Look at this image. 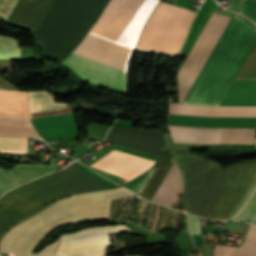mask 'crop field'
Returning a JSON list of instances; mask_svg holds the SVG:
<instances>
[{"mask_svg":"<svg viewBox=\"0 0 256 256\" xmlns=\"http://www.w3.org/2000/svg\"><path fill=\"white\" fill-rule=\"evenodd\" d=\"M157 1L111 0L89 33L132 50ZM89 33L63 63L93 83L125 93L132 51Z\"/></svg>","mask_w":256,"mask_h":256,"instance_id":"crop-field-1","label":"crop field"},{"mask_svg":"<svg viewBox=\"0 0 256 256\" xmlns=\"http://www.w3.org/2000/svg\"><path fill=\"white\" fill-rule=\"evenodd\" d=\"M175 157L184 179L185 211L209 219H226L256 173V160L219 169L189 150H175Z\"/></svg>","mask_w":256,"mask_h":256,"instance_id":"crop-field-2","label":"crop field"},{"mask_svg":"<svg viewBox=\"0 0 256 256\" xmlns=\"http://www.w3.org/2000/svg\"><path fill=\"white\" fill-rule=\"evenodd\" d=\"M119 187L95 191L62 199L44 211L12 228L3 238L0 252L17 253V256L55 255L60 237L42 251L30 253L34 245L58 225L108 220L110 200L133 195Z\"/></svg>","mask_w":256,"mask_h":256,"instance_id":"crop-field-3","label":"crop field"},{"mask_svg":"<svg viewBox=\"0 0 256 256\" xmlns=\"http://www.w3.org/2000/svg\"><path fill=\"white\" fill-rule=\"evenodd\" d=\"M256 40V28L232 15L183 103L219 105Z\"/></svg>","mask_w":256,"mask_h":256,"instance_id":"crop-field-4","label":"crop field"},{"mask_svg":"<svg viewBox=\"0 0 256 256\" xmlns=\"http://www.w3.org/2000/svg\"><path fill=\"white\" fill-rule=\"evenodd\" d=\"M109 0H55L36 34L52 50L49 58L62 62L81 42Z\"/></svg>","mask_w":256,"mask_h":256,"instance_id":"crop-field-5","label":"crop field"},{"mask_svg":"<svg viewBox=\"0 0 256 256\" xmlns=\"http://www.w3.org/2000/svg\"><path fill=\"white\" fill-rule=\"evenodd\" d=\"M195 15L188 9L159 2L153 10L136 49L176 55Z\"/></svg>","mask_w":256,"mask_h":256,"instance_id":"crop-field-6","label":"crop field"},{"mask_svg":"<svg viewBox=\"0 0 256 256\" xmlns=\"http://www.w3.org/2000/svg\"><path fill=\"white\" fill-rule=\"evenodd\" d=\"M68 195L51 174L3 195L0 198V237L16 222L42 210L51 201Z\"/></svg>","mask_w":256,"mask_h":256,"instance_id":"crop-field-7","label":"crop field"},{"mask_svg":"<svg viewBox=\"0 0 256 256\" xmlns=\"http://www.w3.org/2000/svg\"><path fill=\"white\" fill-rule=\"evenodd\" d=\"M228 21L229 18L213 13L210 15L177 75L180 103H182Z\"/></svg>","mask_w":256,"mask_h":256,"instance_id":"crop-field-8","label":"crop field"},{"mask_svg":"<svg viewBox=\"0 0 256 256\" xmlns=\"http://www.w3.org/2000/svg\"><path fill=\"white\" fill-rule=\"evenodd\" d=\"M130 232L126 225L89 227L62 235L55 256H103L106 254L110 234Z\"/></svg>","mask_w":256,"mask_h":256,"instance_id":"crop-field-9","label":"crop field"},{"mask_svg":"<svg viewBox=\"0 0 256 256\" xmlns=\"http://www.w3.org/2000/svg\"><path fill=\"white\" fill-rule=\"evenodd\" d=\"M106 140L115 142L116 146L157 157L161 148H166L163 136L157 130L112 126Z\"/></svg>","mask_w":256,"mask_h":256,"instance_id":"crop-field-10","label":"crop field"},{"mask_svg":"<svg viewBox=\"0 0 256 256\" xmlns=\"http://www.w3.org/2000/svg\"><path fill=\"white\" fill-rule=\"evenodd\" d=\"M153 164L154 161L114 150L90 166L130 180L149 169Z\"/></svg>","mask_w":256,"mask_h":256,"instance_id":"crop-field-11","label":"crop field"},{"mask_svg":"<svg viewBox=\"0 0 256 256\" xmlns=\"http://www.w3.org/2000/svg\"><path fill=\"white\" fill-rule=\"evenodd\" d=\"M169 113L205 117H256V107H223L170 104Z\"/></svg>","mask_w":256,"mask_h":256,"instance_id":"crop-field-12","label":"crop field"},{"mask_svg":"<svg viewBox=\"0 0 256 256\" xmlns=\"http://www.w3.org/2000/svg\"><path fill=\"white\" fill-rule=\"evenodd\" d=\"M256 118H205L169 114L168 124L204 128H255Z\"/></svg>","mask_w":256,"mask_h":256,"instance_id":"crop-field-13","label":"crop field"},{"mask_svg":"<svg viewBox=\"0 0 256 256\" xmlns=\"http://www.w3.org/2000/svg\"><path fill=\"white\" fill-rule=\"evenodd\" d=\"M58 169L51 165L21 164L6 171L0 168V196L7 190Z\"/></svg>","mask_w":256,"mask_h":256,"instance_id":"crop-field-14","label":"crop field"},{"mask_svg":"<svg viewBox=\"0 0 256 256\" xmlns=\"http://www.w3.org/2000/svg\"><path fill=\"white\" fill-rule=\"evenodd\" d=\"M52 175L70 195L105 189L73 164L62 171L52 173Z\"/></svg>","mask_w":256,"mask_h":256,"instance_id":"crop-field-15","label":"crop field"},{"mask_svg":"<svg viewBox=\"0 0 256 256\" xmlns=\"http://www.w3.org/2000/svg\"><path fill=\"white\" fill-rule=\"evenodd\" d=\"M54 0H22L9 23L36 30Z\"/></svg>","mask_w":256,"mask_h":256,"instance_id":"crop-field-16","label":"crop field"},{"mask_svg":"<svg viewBox=\"0 0 256 256\" xmlns=\"http://www.w3.org/2000/svg\"><path fill=\"white\" fill-rule=\"evenodd\" d=\"M220 105L256 106V81L233 80Z\"/></svg>","mask_w":256,"mask_h":256,"instance_id":"crop-field-17","label":"crop field"},{"mask_svg":"<svg viewBox=\"0 0 256 256\" xmlns=\"http://www.w3.org/2000/svg\"><path fill=\"white\" fill-rule=\"evenodd\" d=\"M173 162H174L173 150L162 149V152H161L159 158L157 159L155 164L152 166L157 169L154 172L151 179L149 180L146 187L144 188L143 192L141 193V196H143L146 199L151 200L152 196L156 192L157 188L159 187L160 183L164 179L168 170L172 166Z\"/></svg>","mask_w":256,"mask_h":256,"instance_id":"crop-field-18","label":"crop field"},{"mask_svg":"<svg viewBox=\"0 0 256 256\" xmlns=\"http://www.w3.org/2000/svg\"><path fill=\"white\" fill-rule=\"evenodd\" d=\"M215 256H256V226H249L244 243L239 248L215 246Z\"/></svg>","mask_w":256,"mask_h":256,"instance_id":"crop-field-19","label":"crop field"},{"mask_svg":"<svg viewBox=\"0 0 256 256\" xmlns=\"http://www.w3.org/2000/svg\"><path fill=\"white\" fill-rule=\"evenodd\" d=\"M235 209L252 214H254L256 211V176L252 181L247 193L243 196ZM251 216V214L233 210L227 219L248 221Z\"/></svg>","mask_w":256,"mask_h":256,"instance_id":"crop-field-20","label":"crop field"},{"mask_svg":"<svg viewBox=\"0 0 256 256\" xmlns=\"http://www.w3.org/2000/svg\"><path fill=\"white\" fill-rule=\"evenodd\" d=\"M254 129H222L221 143H251Z\"/></svg>","mask_w":256,"mask_h":256,"instance_id":"crop-field-21","label":"crop field"},{"mask_svg":"<svg viewBox=\"0 0 256 256\" xmlns=\"http://www.w3.org/2000/svg\"><path fill=\"white\" fill-rule=\"evenodd\" d=\"M235 79L256 80V43L240 68Z\"/></svg>","mask_w":256,"mask_h":256,"instance_id":"crop-field-22","label":"crop field"},{"mask_svg":"<svg viewBox=\"0 0 256 256\" xmlns=\"http://www.w3.org/2000/svg\"><path fill=\"white\" fill-rule=\"evenodd\" d=\"M238 13L256 23V0H242Z\"/></svg>","mask_w":256,"mask_h":256,"instance_id":"crop-field-23","label":"crop field"},{"mask_svg":"<svg viewBox=\"0 0 256 256\" xmlns=\"http://www.w3.org/2000/svg\"><path fill=\"white\" fill-rule=\"evenodd\" d=\"M19 0H0V17L8 21Z\"/></svg>","mask_w":256,"mask_h":256,"instance_id":"crop-field-24","label":"crop field"},{"mask_svg":"<svg viewBox=\"0 0 256 256\" xmlns=\"http://www.w3.org/2000/svg\"><path fill=\"white\" fill-rule=\"evenodd\" d=\"M17 47L19 46L16 39L0 36V49L9 50Z\"/></svg>","mask_w":256,"mask_h":256,"instance_id":"crop-field-25","label":"crop field"},{"mask_svg":"<svg viewBox=\"0 0 256 256\" xmlns=\"http://www.w3.org/2000/svg\"><path fill=\"white\" fill-rule=\"evenodd\" d=\"M192 233L201 234L200 221L198 217L186 214Z\"/></svg>","mask_w":256,"mask_h":256,"instance_id":"crop-field-26","label":"crop field"},{"mask_svg":"<svg viewBox=\"0 0 256 256\" xmlns=\"http://www.w3.org/2000/svg\"><path fill=\"white\" fill-rule=\"evenodd\" d=\"M0 58L18 59V49L10 51L0 50Z\"/></svg>","mask_w":256,"mask_h":256,"instance_id":"crop-field-27","label":"crop field"},{"mask_svg":"<svg viewBox=\"0 0 256 256\" xmlns=\"http://www.w3.org/2000/svg\"><path fill=\"white\" fill-rule=\"evenodd\" d=\"M250 222L256 224V213H255V215L253 216V218L250 220Z\"/></svg>","mask_w":256,"mask_h":256,"instance_id":"crop-field-28","label":"crop field"},{"mask_svg":"<svg viewBox=\"0 0 256 256\" xmlns=\"http://www.w3.org/2000/svg\"><path fill=\"white\" fill-rule=\"evenodd\" d=\"M45 256H47V255H45Z\"/></svg>","mask_w":256,"mask_h":256,"instance_id":"crop-field-29","label":"crop field"}]
</instances>
